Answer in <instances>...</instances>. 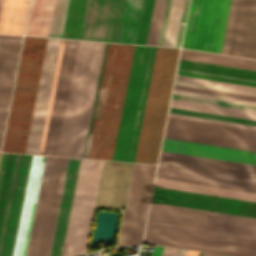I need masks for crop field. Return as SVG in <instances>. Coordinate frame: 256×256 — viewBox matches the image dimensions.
<instances>
[{
    "mask_svg": "<svg viewBox=\"0 0 256 256\" xmlns=\"http://www.w3.org/2000/svg\"><path fill=\"white\" fill-rule=\"evenodd\" d=\"M104 43L79 41L57 153L81 157ZM134 45H108L86 157L111 160Z\"/></svg>",
    "mask_w": 256,
    "mask_h": 256,
    "instance_id": "8a807250",
    "label": "crop field"
},
{
    "mask_svg": "<svg viewBox=\"0 0 256 256\" xmlns=\"http://www.w3.org/2000/svg\"><path fill=\"white\" fill-rule=\"evenodd\" d=\"M47 38L24 37L2 151L24 153Z\"/></svg>",
    "mask_w": 256,
    "mask_h": 256,
    "instance_id": "ac0d7876",
    "label": "crop field"
},
{
    "mask_svg": "<svg viewBox=\"0 0 256 256\" xmlns=\"http://www.w3.org/2000/svg\"><path fill=\"white\" fill-rule=\"evenodd\" d=\"M178 51L156 49L134 162L157 161Z\"/></svg>",
    "mask_w": 256,
    "mask_h": 256,
    "instance_id": "34b2d1b8",
    "label": "crop field"
},
{
    "mask_svg": "<svg viewBox=\"0 0 256 256\" xmlns=\"http://www.w3.org/2000/svg\"><path fill=\"white\" fill-rule=\"evenodd\" d=\"M56 159L31 157L12 256H37Z\"/></svg>",
    "mask_w": 256,
    "mask_h": 256,
    "instance_id": "412701ff",
    "label": "crop field"
},
{
    "mask_svg": "<svg viewBox=\"0 0 256 256\" xmlns=\"http://www.w3.org/2000/svg\"><path fill=\"white\" fill-rule=\"evenodd\" d=\"M155 49L134 47L112 160H134Z\"/></svg>",
    "mask_w": 256,
    "mask_h": 256,
    "instance_id": "f4fd0767",
    "label": "crop field"
},
{
    "mask_svg": "<svg viewBox=\"0 0 256 256\" xmlns=\"http://www.w3.org/2000/svg\"><path fill=\"white\" fill-rule=\"evenodd\" d=\"M144 242L234 256H256V239L147 222Z\"/></svg>",
    "mask_w": 256,
    "mask_h": 256,
    "instance_id": "dd49c442",
    "label": "crop field"
},
{
    "mask_svg": "<svg viewBox=\"0 0 256 256\" xmlns=\"http://www.w3.org/2000/svg\"><path fill=\"white\" fill-rule=\"evenodd\" d=\"M30 157L5 155L0 180V256H11Z\"/></svg>",
    "mask_w": 256,
    "mask_h": 256,
    "instance_id": "e52e79f7",
    "label": "crop field"
},
{
    "mask_svg": "<svg viewBox=\"0 0 256 256\" xmlns=\"http://www.w3.org/2000/svg\"><path fill=\"white\" fill-rule=\"evenodd\" d=\"M68 158L58 157L38 256H49ZM79 159L69 158L50 256H60Z\"/></svg>",
    "mask_w": 256,
    "mask_h": 256,
    "instance_id": "d8731c3e",
    "label": "crop field"
},
{
    "mask_svg": "<svg viewBox=\"0 0 256 256\" xmlns=\"http://www.w3.org/2000/svg\"><path fill=\"white\" fill-rule=\"evenodd\" d=\"M147 221L256 238V219L151 203Z\"/></svg>",
    "mask_w": 256,
    "mask_h": 256,
    "instance_id": "5a996713",
    "label": "crop field"
},
{
    "mask_svg": "<svg viewBox=\"0 0 256 256\" xmlns=\"http://www.w3.org/2000/svg\"><path fill=\"white\" fill-rule=\"evenodd\" d=\"M78 41L62 39L39 154L55 155Z\"/></svg>",
    "mask_w": 256,
    "mask_h": 256,
    "instance_id": "3316defc",
    "label": "crop field"
},
{
    "mask_svg": "<svg viewBox=\"0 0 256 256\" xmlns=\"http://www.w3.org/2000/svg\"><path fill=\"white\" fill-rule=\"evenodd\" d=\"M155 168L150 164L133 165L117 246L141 242Z\"/></svg>",
    "mask_w": 256,
    "mask_h": 256,
    "instance_id": "28ad6ade",
    "label": "crop field"
},
{
    "mask_svg": "<svg viewBox=\"0 0 256 256\" xmlns=\"http://www.w3.org/2000/svg\"><path fill=\"white\" fill-rule=\"evenodd\" d=\"M156 176L256 191V182L254 181L220 177L201 173L158 167ZM159 177H156L154 185L256 201V192L165 179Z\"/></svg>",
    "mask_w": 256,
    "mask_h": 256,
    "instance_id": "d1516ede",
    "label": "crop field"
},
{
    "mask_svg": "<svg viewBox=\"0 0 256 256\" xmlns=\"http://www.w3.org/2000/svg\"><path fill=\"white\" fill-rule=\"evenodd\" d=\"M161 151L256 165V161L254 160H247V159L228 157V156H222V155H216V154L196 152V151L177 149V148H171V147H165V146H162ZM164 152H161L160 161H159V164H162V165L182 167V168H188V169L202 170V171L222 173V174L256 179V166L210 160V159L197 158V157H190V156L177 155V154H170V153H164ZM162 165H158V166L168 167V166H162ZM175 167H168V168H175ZM182 168H175V169H182ZM188 169H182V170H188ZM195 170H189V171H195ZM202 171H195V172H202ZM208 172H202V173H208ZM215 173H209V174H215ZM222 174H216V175H222ZM228 175H223V176H228ZM235 176H230V177H235ZM242 177H237V178H242ZM248 178H244V179H248ZM255 179H251V180H255Z\"/></svg>",
    "mask_w": 256,
    "mask_h": 256,
    "instance_id": "22f410ed",
    "label": "crop field"
},
{
    "mask_svg": "<svg viewBox=\"0 0 256 256\" xmlns=\"http://www.w3.org/2000/svg\"><path fill=\"white\" fill-rule=\"evenodd\" d=\"M208 195L154 187L151 202L256 218L254 202Z\"/></svg>",
    "mask_w": 256,
    "mask_h": 256,
    "instance_id": "cbeb9de0",
    "label": "crop field"
},
{
    "mask_svg": "<svg viewBox=\"0 0 256 256\" xmlns=\"http://www.w3.org/2000/svg\"><path fill=\"white\" fill-rule=\"evenodd\" d=\"M116 0H87L79 39L108 41ZM126 0H117L109 41L118 42Z\"/></svg>",
    "mask_w": 256,
    "mask_h": 256,
    "instance_id": "5142ce71",
    "label": "crop field"
},
{
    "mask_svg": "<svg viewBox=\"0 0 256 256\" xmlns=\"http://www.w3.org/2000/svg\"><path fill=\"white\" fill-rule=\"evenodd\" d=\"M61 39L48 38L25 153L38 154Z\"/></svg>",
    "mask_w": 256,
    "mask_h": 256,
    "instance_id": "d9b57169",
    "label": "crop field"
},
{
    "mask_svg": "<svg viewBox=\"0 0 256 256\" xmlns=\"http://www.w3.org/2000/svg\"><path fill=\"white\" fill-rule=\"evenodd\" d=\"M165 138L256 152V144L167 130ZM164 139L165 146L256 159V153Z\"/></svg>",
    "mask_w": 256,
    "mask_h": 256,
    "instance_id": "733c2abd",
    "label": "crop field"
},
{
    "mask_svg": "<svg viewBox=\"0 0 256 256\" xmlns=\"http://www.w3.org/2000/svg\"><path fill=\"white\" fill-rule=\"evenodd\" d=\"M22 36L0 37V144Z\"/></svg>",
    "mask_w": 256,
    "mask_h": 256,
    "instance_id": "4a817a6b",
    "label": "crop field"
},
{
    "mask_svg": "<svg viewBox=\"0 0 256 256\" xmlns=\"http://www.w3.org/2000/svg\"><path fill=\"white\" fill-rule=\"evenodd\" d=\"M231 55L256 59V0H242Z\"/></svg>",
    "mask_w": 256,
    "mask_h": 256,
    "instance_id": "bc2a9ffb",
    "label": "crop field"
},
{
    "mask_svg": "<svg viewBox=\"0 0 256 256\" xmlns=\"http://www.w3.org/2000/svg\"><path fill=\"white\" fill-rule=\"evenodd\" d=\"M167 129L256 143V131L169 118Z\"/></svg>",
    "mask_w": 256,
    "mask_h": 256,
    "instance_id": "214f88e0",
    "label": "crop field"
},
{
    "mask_svg": "<svg viewBox=\"0 0 256 256\" xmlns=\"http://www.w3.org/2000/svg\"><path fill=\"white\" fill-rule=\"evenodd\" d=\"M170 2H171V0H167V3H166L165 13H164V18H163L159 43H158V45H160V46H162V44H163L165 28H166V23H167L169 8H170ZM182 5H183V0H172L163 46L174 47V45H175ZM187 5H188V0H184L180 23L184 22V20H185ZM183 27H184V25H179V30H178L175 47H179V45H180Z\"/></svg>",
    "mask_w": 256,
    "mask_h": 256,
    "instance_id": "92a150f3",
    "label": "crop field"
},
{
    "mask_svg": "<svg viewBox=\"0 0 256 256\" xmlns=\"http://www.w3.org/2000/svg\"><path fill=\"white\" fill-rule=\"evenodd\" d=\"M155 0H145L136 44L146 45ZM165 0H156L147 45H156Z\"/></svg>",
    "mask_w": 256,
    "mask_h": 256,
    "instance_id": "dafd665d",
    "label": "crop field"
},
{
    "mask_svg": "<svg viewBox=\"0 0 256 256\" xmlns=\"http://www.w3.org/2000/svg\"><path fill=\"white\" fill-rule=\"evenodd\" d=\"M29 0H0V33L22 34Z\"/></svg>",
    "mask_w": 256,
    "mask_h": 256,
    "instance_id": "00972430",
    "label": "crop field"
},
{
    "mask_svg": "<svg viewBox=\"0 0 256 256\" xmlns=\"http://www.w3.org/2000/svg\"><path fill=\"white\" fill-rule=\"evenodd\" d=\"M54 0H32L25 35L47 36Z\"/></svg>",
    "mask_w": 256,
    "mask_h": 256,
    "instance_id": "a9b5d70f",
    "label": "crop field"
},
{
    "mask_svg": "<svg viewBox=\"0 0 256 256\" xmlns=\"http://www.w3.org/2000/svg\"><path fill=\"white\" fill-rule=\"evenodd\" d=\"M178 69L256 80V71L180 59Z\"/></svg>",
    "mask_w": 256,
    "mask_h": 256,
    "instance_id": "4177f3b9",
    "label": "crop field"
},
{
    "mask_svg": "<svg viewBox=\"0 0 256 256\" xmlns=\"http://www.w3.org/2000/svg\"><path fill=\"white\" fill-rule=\"evenodd\" d=\"M218 0H203L193 49L208 51Z\"/></svg>",
    "mask_w": 256,
    "mask_h": 256,
    "instance_id": "730fd06b",
    "label": "crop field"
},
{
    "mask_svg": "<svg viewBox=\"0 0 256 256\" xmlns=\"http://www.w3.org/2000/svg\"><path fill=\"white\" fill-rule=\"evenodd\" d=\"M170 107L256 120V112L172 99Z\"/></svg>",
    "mask_w": 256,
    "mask_h": 256,
    "instance_id": "eef30255",
    "label": "crop field"
},
{
    "mask_svg": "<svg viewBox=\"0 0 256 256\" xmlns=\"http://www.w3.org/2000/svg\"><path fill=\"white\" fill-rule=\"evenodd\" d=\"M143 0H127L119 42L135 44Z\"/></svg>",
    "mask_w": 256,
    "mask_h": 256,
    "instance_id": "ae1a2a85",
    "label": "crop field"
},
{
    "mask_svg": "<svg viewBox=\"0 0 256 256\" xmlns=\"http://www.w3.org/2000/svg\"><path fill=\"white\" fill-rule=\"evenodd\" d=\"M180 58L256 70V60L182 49Z\"/></svg>",
    "mask_w": 256,
    "mask_h": 256,
    "instance_id": "d3111659",
    "label": "crop field"
},
{
    "mask_svg": "<svg viewBox=\"0 0 256 256\" xmlns=\"http://www.w3.org/2000/svg\"><path fill=\"white\" fill-rule=\"evenodd\" d=\"M239 5H240V0L230 1L227 21H226L221 51H220L221 54L230 55L231 53Z\"/></svg>",
    "mask_w": 256,
    "mask_h": 256,
    "instance_id": "750c4746",
    "label": "crop field"
},
{
    "mask_svg": "<svg viewBox=\"0 0 256 256\" xmlns=\"http://www.w3.org/2000/svg\"><path fill=\"white\" fill-rule=\"evenodd\" d=\"M230 0H219L211 44L209 51L217 52L220 51L228 6Z\"/></svg>",
    "mask_w": 256,
    "mask_h": 256,
    "instance_id": "bd1437ed",
    "label": "crop field"
},
{
    "mask_svg": "<svg viewBox=\"0 0 256 256\" xmlns=\"http://www.w3.org/2000/svg\"><path fill=\"white\" fill-rule=\"evenodd\" d=\"M202 0H191L188 20L185 28V34L183 39L184 48L192 49L195 33L199 21L200 10H201Z\"/></svg>",
    "mask_w": 256,
    "mask_h": 256,
    "instance_id": "1d83c4d3",
    "label": "crop field"
},
{
    "mask_svg": "<svg viewBox=\"0 0 256 256\" xmlns=\"http://www.w3.org/2000/svg\"><path fill=\"white\" fill-rule=\"evenodd\" d=\"M69 0H55L48 36L61 38Z\"/></svg>",
    "mask_w": 256,
    "mask_h": 256,
    "instance_id": "120bbe31",
    "label": "crop field"
},
{
    "mask_svg": "<svg viewBox=\"0 0 256 256\" xmlns=\"http://www.w3.org/2000/svg\"><path fill=\"white\" fill-rule=\"evenodd\" d=\"M169 112L204 117V118L218 119V120H224V121H231V122H237V123H244V124H250V125H256V121L238 119V118H232V117H225V116H219V115H212V114H205V113H199V112H192V111H186V110H179V109H173V108H170Z\"/></svg>",
    "mask_w": 256,
    "mask_h": 256,
    "instance_id": "d32e631a",
    "label": "crop field"
},
{
    "mask_svg": "<svg viewBox=\"0 0 256 256\" xmlns=\"http://www.w3.org/2000/svg\"><path fill=\"white\" fill-rule=\"evenodd\" d=\"M172 98L256 111L255 106L228 103V102L215 101V100L202 99V98L189 97V96H182V95H176V94H173Z\"/></svg>",
    "mask_w": 256,
    "mask_h": 256,
    "instance_id": "5866460e",
    "label": "crop field"
},
{
    "mask_svg": "<svg viewBox=\"0 0 256 256\" xmlns=\"http://www.w3.org/2000/svg\"><path fill=\"white\" fill-rule=\"evenodd\" d=\"M173 93L182 94V95H189V96H196V97H202V98H209V99H215V100H222V101H228V102L242 103V104H248V105H255L256 106V101L229 98V97L216 96V95L203 94V93L190 92V91H183V90H177V89H174Z\"/></svg>",
    "mask_w": 256,
    "mask_h": 256,
    "instance_id": "028f5c9d",
    "label": "crop field"
},
{
    "mask_svg": "<svg viewBox=\"0 0 256 256\" xmlns=\"http://www.w3.org/2000/svg\"><path fill=\"white\" fill-rule=\"evenodd\" d=\"M177 74L256 86V82L178 70Z\"/></svg>",
    "mask_w": 256,
    "mask_h": 256,
    "instance_id": "e1f06a70",
    "label": "crop field"
},
{
    "mask_svg": "<svg viewBox=\"0 0 256 256\" xmlns=\"http://www.w3.org/2000/svg\"><path fill=\"white\" fill-rule=\"evenodd\" d=\"M174 88L197 91V92H204V93H210V94H217V95H224V96H230V97H237V98H243V99L256 100V97H254V96L241 95V94L222 92V91H216V90H210V89H203V88H197V87H190V86H184V85H178V84H175Z\"/></svg>",
    "mask_w": 256,
    "mask_h": 256,
    "instance_id": "0bd39190",
    "label": "crop field"
},
{
    "mask_svg": "<svg viewBox=\"0 0 256 256\" xmlns=\"http://www.w3.org/2000/svg\"><path fill=\"white\" fill-rule=\"evenodd\" d=\"M168 116L190 119V120L203 121V122H210V123H216V124H223V125H229V126H236V127H242V128H249V129H255L256 130V126H250V125H244V124H237V123L224 122V121H218V120L204 119V118L178 115V114H172V113H169Z\"/></svg>",
    "mask_w": 256,
    "mask_h": 256,
    "instance_id": "b80d0937",
    "label": "crop field"
},
{
    "mask_svg": "<svg viewBox=\"0 0 256 256\" xmlns=\"http://www.w3.org/2000/svg\"><path fill=\"white\" fill-rule=\"evenodd\" d=\"M175 83L256 96V92H252V91H245V90H238V89H232V88L218 87V86L205 85V84L192 83V82H185V81H179V80H176Z\"/></svg>",
    "mask_w": 256,
    "mask_h": 256,
    "instance_id": "c035e120",
    "label": "crop field"
},
{
    "mask_svg": "<svg viewBox=\"0 0 256 256\" xmlns=\"http://www.w3.org/2000/svg\"><path fill=\"white\" fill-rule=\"evenodd\" d=\"M177 249L164 247L160 256H174Z\"/></svg>",
    "mask_w": 256,
    "mask_h": 256,
    "instance_id": "c21b1889",
    "label": "crop field"
},
{
    "mask_svg": "<svg viewBox=\"0 0 256 256\" xmlns=\"http://www.w3.org/2000/svg\"><path fill=\"white\" fill-rule=\"evenodd\" d=\"M163 247L156 246L152 256H159Z\"/></svg>",
    "mask_w": 256,
    "mask_h": 256,
    "instance_id": "03da06ac",
    "label": "crop field"
},
{
    "mask_svg": "<svg viewBox=\"0 0 256 256\" xmlns=\"http://www.w3.org/2000/svg\"><path fill=\"white\" fill-rule=\"evenodd\" d=\"M199 252L187 250L185 256H197Z\"/></svg>",
    "mask_w": 256,
    "mask_h": 256,
    "instance_id": "b54c1fbb",
    "label": "crop field"
},
{
    "mask_svg": "<svg viewBox=\"0 0 256 256\" xmlns=\"http://www.w3.org/2000/svg\"><path fill=\"white\" fill-rule=\"evenodd\" d=\"M186 250L178 249L175 256H184Z\"/></svg>",
    "mask_w": 256,
    "mask_h": 256,
    "instance_id": "5d738f31",
    "label": "crop field"
},
{
    "mask_svg": "<svg viewBox=\"0 0 256 256\" xmlns=\"http://www.w3.org/2000/svg\"><path fill=\"white\" fill-rule=\"evenodd\" d=\"M204 256H220V255L205 253Z\"/></svg>",
    "mask_w": 256,
    "mask_h": 256,
    "instance_id": "d23c7cc5",
    "label": "crop field"
},
{
    "mask_svg": "<svg viewBox=\"0 0 256 256\" xmlns=\"http://www.w3.org/2000/svg\"><path fill=\"white\" fill-rule=\"evenodd\" d=\"M221 256H223V255H221Z\"/></svg>",
    "mask_w": 256,
    "mask_h": 256,
    "instance_id": "425ffa30",
    "label": "crop field"
}]
</instances>
